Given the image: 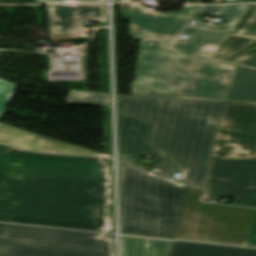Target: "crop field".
<instances>
[{
	"label": "crop field",
	"instance_id": "1",
	"mask_svg": "<svg viewBox=\"0 0 256 256\" xmlns=\"http://www.w3.org/2000/svg\"><path fill=\"white\" fill-rule=\"evenodd\" d=\"M0 145V221L113 233L110 160Z\"/></svg>",
	"mask_w": 256,
	"mask_h": 256
},
{
	"label": "crop field",
	"instance_id": "2",
	"mask_svg": "<svg viewBox=\"0 0 256 256\" xmlns=\"http://www.w3.org/2000/svg\"><path fill=\"white\" fill-rule=\"evenodd\" d=\"M120 161L139 151L158 153L157 173L202 187L221 112L220 102L119 96Z\"/></svg>",
	"mask_w": 256,
	"mask_h": 256
},
{
	"label": "crop field",
	"instance_id": "3",
	"mask_svg": "<svg viewBox=\"0 0 256 256\" xmlns=\"http://www.w3.org/2000/svg\"><path fill=\"white\" fill-rule=\"evenodd\" d=\"M189 39H141L131 95L223 101L234 64L209 59L228 31L190 27Z\"/></svg>",
	"mask_w": 256,
	"mask_h": 256
},
{
	"label": "crop field",
	"instance_id": "4",
	"mask_svg": "<svg viewBox=\"0 0 256 256\" xmlns=\"http://www.w3.org/2000/svg\"><path fill=\"white\" fill-rule=\"evenodd\" d=\"M190 187L121 164V233L173 239Z\"/></svg>",
	"mask_w": 256,
	"mask_h": 256
},
{
	"label": "crop field",
	"instance_id": "5",
	"mask_svg": "<svg viewBox=\"0 0 256 256\" xmlns=\"http://www.w3.org/2000/svg\"><path fill=\"white\" fill-rule=\"evenodd\" d=\"M114 235L0 223V256H114Z\"/></svg>",
	"mask_w": 256,
	"mask_h": 256
},
{
	"label": "crop field",
	"instance_id": "6",
	"mask_svg": "<svg viewBox=\"0 0 256 256\" xmlns=\"http://www.w3.org/2000/svg\"><path fill=\"white\" fill-rule=\"evenodd\" d=\"M191 187L174 239L244 246L256 209L202 204Z\"/></svg>",
	"mask_w": 256,
	"mask_h": 256
},
{
	"label": "crop field",
	"instance_id": "7",
	"mask_svg": "<svg viewBox=\"0 0 256 256\" xmlns=\"http://www.w3.org/2000/svg\"><path fill=\"white\" fill-rule=\"evenodd\" d=\"M210 159H256V103L224 101Z\"/></svg>",
	"mask_w": 256,
	"mask_h": 256
},
{
	"label": "crop field",
	"instance_id": "8",
	"mask_svg": "<svg viewBox=\"0 0 256 256\" xmlns=\"http://www.w3.org/2000/svg\"><path fill=\"white\" fill-rule=\"evenodd\" d=\"M205 195L235 198L233 205L256 207V160H210Z\"/></svg>",
	"mask_w": 256,
	"mask_h": 256
},
{
	"label": "crop field",
	"instance_id": "9",
	"mask_svg": "<svg viewBox=\"0 0 256 256\" xmlns=\"http://www.w3.org/2000/svg\"><path fill=\"white\" fill-rule=\"evenodd\" d=\"M206 5H183L179 12H155L139 5H129V28L133 37H176L185 24L193 19L198 25L208 22L196 20Z\"/></svg>",
	"mask_w": 256,
	"mask_h": 256
},
{
	"label": "crop field",
	"instance_id": "10",
	"mask_svg": "<svg viewBox=\"0 0 256 256\" xmlns=\"http://www.w3.org/2000/svg\"><path fill=\"white\" fill-rule=\"evenodd\" d=\"M49 32L82 30L84 21L106 22L105 5L46 6Z\"/></svg>",
	"mask_w": 256,
	"mask_h": 256
},
{
	"label": "crop field",
	"instance_id": "11",
	"mask_svg": "<svg viewBox=\"0 0 256 256\" xmlns=\"http://www.w3.org/2000/svg\"><path fill=\"white\" fill-rule=\"evenodd\" d=\"M0 142L25 150L107 157L0 124Z\"/></svg>",
	"mask_w": 256,
	"mask_h": 256
},
{
	"label": "crop field",
	"instance_id": "12",
	"mask_svg": "<svg viewBox=\"0 0 256 256\" xmlns=\"http://www.w3.org/2000/svg\"><path fill=\"white\" fill-rule=\"evenodd\" d=\"M256 57V38L227 34L212 59L241 64Z\"/></svg>",
	"mask_w": 256,
	"mask_h": 256
},
{
	"label": "crop field",
	"instance_id": "13",
	"mask_svg": "<svg viewBox=\"0 0 256 256\" xmlns=\"http://www.w3.org/2000/svg\"><path fill=\"white\" fill-rule=\"evenodd\" d=\"M168 256H256V249L173 241Z\"/></svg>",
	"mask_w": 256,
	"mask_h": 256
},
{
	"label": "crop field",
	"instance_id": "14",
	"mask_svg": "<svg viewBox=\"0 0 256 256\" xmlns=\"http://www.w3.org/2000/svg\"><path fill=\"white\" fill-rule=\"evenodd\" d=\"M224 100L256 102V71L234 66Z\"/></svg>",
	"mask_w": 256,
	"mask_h": 256
},
{
	"label": "crop field",
	"instance_id": "15",
	"mask_svg": "<svg viewBox=\"0 0 256 256\" xmlns=\"http://www.w3.org/2000/svg\"><path fill=\"white\" fill-rule=\"evenodd\" d=\"M171 242L122 236V256H167Z\"/></svg>",
	"mask_w": 256,
	"mask_h": 256
},
{
	"label": "crop field",
	"instance_id": "16",
	"mask_svg": "<svg viewBox=\"0 0 256 256\" xmlns=\"http://www.w3.org/2000/svg\"><path fill=\"white\" fill-rule=\"evenodd\" d=\"M229 33L256 37V5L249 4Z\"/></svg>",
	"mask_w": 256,
	"mask_h": 256
},
{
	"label": "crop field",
	"instance_id": "17",
	"mask_svg": "<svg viewBox=\"0 0 256 256\" xmlns=\"http://www.w3.org/2000/svg\"><path fill=\"white\" fill-rule=\"evenodd\" d=\"M66 102L109 106V97L108 94H95L79 91H70Z\"/></svg>",
	"mask_w": 256,
	"mask_h": 256
},
{
	"label": "crop field",
	"instance_id": "18",
	"mask_svg": "<svg viewBox=\"0 0 256 256\" xmlns=\"http://www.w3.org/2000/svg\"><path fill=\"white\" fill-rule=\"evenodd\" d=\"M247 5H225L221 12L218 14V17L225 18L223 23H211L207 27L230 30L232 25L247 7Z\"/></svg>",
	"mask_w": 256,
	"mask_h": 256
},
{
	"label": "crop field",
	"instance_id": "19",
	"mask_svg": "<svg viewBox=\"0 0 256 256\" xmlns=\"http://www.w3.org/2000/svg\"><path fill=\"white\" fill-rule=\"evenodd\" d=\"M17 85L0 78V102L9 103Z\"/></svg>",
	"mask_w": 256,
	"mask_h": 256
},
{
	"label": "crop field",
	"instance_id": "20",
	"mask_svg": "<svg viewBox=\"0 0 256 256\" xmlns=\"http://www.w3.org/2000/svg\"><path fill=\"white\" fill-rule=\"evenodd\" d=\"M38 3H104L105 0H34Z\"/></svg>",
	"mask_w": 256,
	"mask_h": 256
},
{
	"label": "crop field",
	"instance_id": "21",
	"mask_svg": "<svg viewBox=\"0 0 256 256\" xmlns=\"http://www.w3.org/2000/svg\"><path fill=\"white\" fill-rule=\"evenodd\" d=\"M245 246L256 247V213Z\"/></svg>",
	"mask_w": 256,
	"mask_h": 256
},
{
	"label": "crop field",
	"instance_id": "22",
	"mask_svg": "<svg viewBox=\"0 0 256 256\" xmlns=\"http://www.w3.org/2000/svg\"><path fill=\"white\" fill-rule=\"evenodd\" d=\"M222 5H207L203 13L209 16H215Z\"/></svg>",
	"mask_w": 256,
	"mask_h": 256
},
{
	"label": "crop field",
	"instance_id": "23",
	"mask_svg": "<svg viewBox=\"0 0 256 256\" xmlns=\"http://www.w3.org/2000/svg\"><path fill=\"white\" fill-rule=\"evenodd\" d=\"M240 66L256 69V58L253 59V60H250V61H248L246 63H243Z\"/></svg>",
	"mask_w": 256,
	"mask_h": 256
},
{
	"label": "crop field",
	"instance_id": "24",
	"mask_svg": "<svg viewBox=\"0 0 256 256\" xmlns=\"http://www.w3.org/2000/svg\"><path fill=\"white\" fill-rule=\"evenodd\" d=\"M7 106H8V104L0 103V120H1V118H2V116H3V114H4V112H5V110H6V108H7Z\"/></svg>",
	"mask_w": 256,
	"mask_h": 256
},
{
	"label": "crop field",
	"instance_id": "25",
	"mask_svg": "<svg viewBox=\"0 0 256 256\" xmlns=\"http://www.w3.org/2000/svg\"><path fill=\"white\" fill-rule=\"evenodd\" d=\"M238 2H245L242 0H228V3H238ZM250 2H256V0H251Z\"/></svg>",
	"mask_w": 256,
	"mask_h": 256
},
{
	"label": "crop field",
	"instance_id": "26",
	"mask_svg": "<svg viewBox=\"0 0 256 256\" xmlns=\"http://www.w3.org/2000/svg\"><path fill=\"white\" fill-rule=\"evenodd\" d=\"M114 3H131L130 0H114Z\"/></svg>",
	"mask_w": 256,
	"mask_h": 256
}]
</instances>
